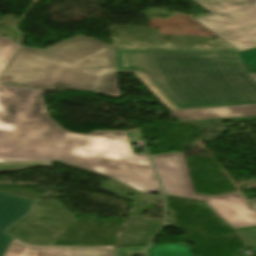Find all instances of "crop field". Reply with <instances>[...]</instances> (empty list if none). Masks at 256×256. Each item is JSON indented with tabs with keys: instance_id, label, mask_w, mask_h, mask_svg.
<instances>
[{
	"instance_id": "1",
	"label": "crop field",
	"mask_w": 256,
	"mask_h": 256,
	"mask_svg": "<svg viewBox=\"0 0 256 256\" xmlns=\"http://www.w3.org/2000/svg\"><path fill=\"white\" fill-rule=\"evenodd\" d=\"M43 91L0 85V171L61 164L162 194L147 154H133L132 131H64L45 111Z\"/></svg>"
},
{
	"instance_id": "2",
	"label": "crop field",
	"mask_w": 256,
	"mask_h": 256,
	"mask_svg": "<svg viewBox=\"0 0 256 256\" xmlns=\"http://www.w3.org/2000/svg\"><path fill=\"white\" fill-rule=\"evenodd\" d=\"M118 73H134L168 109L256 103V48L237 52L115 50Z\"/></svg>"
},
{
	"instance_id": "3",
	"label": "crop field",
	"mask_w": 256,
	"mask_h": 256,
	"mask_svg": "<svg viewBox=\"0 0 256 256\" xmlns=\"http://www.w3.org/2000/svg\"><path fill=\"white\" fill-rule=\"evenodd\" d=\"M111 45L80 35L45 50L18 46L0 84L54 91H96L120 96Z\"/></svg>"
},
{
	"instance_id": "4",
	"label": "crop field",
	"mask_w": 256,
	"mask_h": 256,
	"mask_svg": "<svg viewBox=\"0 0 256 256\" xmlns=\"http://www.w3.org/2000/svg\"><path fill=\"white\" fill-rule=\"evenodd\" d=\"M151 157L166 195L201 200L233 228L256 225V213L240 193L207 197L195 196L181 153Z\"/></svg>"
},
{
	"instance_id": "5",
	"label": "crop field",
	"mask_w": 256,
	"mask_h": 256,
	"mask_svg": "<svg viewBox=\"0 0 256 256\" xmlns=\"http://www.w3.org/2000/svg\"><path fill=\"white\" fill-rule=\"evenodd\" d=\"M193 1L211 12L196 20L238 50L256 47V0Z\"/></svg>"
},
{
	"instance_id": "6",
	"label": "crop field",
	"mask_w": 256,
	"mask_h": 256,
	"mask_svg": "<svg viewBox=\"0 0 256 256\" xmlns=\"http://www.w3.org/2000/svg\"><path fill=\"white\" fill-rule=\"evenodd\" d=\"M180 122H234L256 120V105L171 111Z\"/></svg>"
},
{
	"instance_id": "7",
	"label": "crop field",
	"mask_w": 256,
	"mask_h": 256,
	"mask_svg": "<svg viewBox=\"0 0 256 256\" xmlns=\"http://www.w3.org/2000/svg\"><path fill=\"white\" fill-rule=\"evenodd\" d=\"M111 248L28 246L14 239L4 256H112Z\"/></svg>"
},
{
	"instance_id": "8",
	"label": "crop field",
	"mask_w": 256,
	"mask_h": 256,
	"mask_svg": "<svg viewBox=\"0 0 256 256\" xmlns=\"http://www.w3.org/2000/svg\"><path fill=\"white\" fill-rule=\"evenodd\" d=\"M33 203L34 200L0 192V256L13 239L5 229L29 212Z\"/></svg>"
},
{
	"instance_id": "9",
	"label": "crop field",
	"mask_w": 256,
	"mask_h": 256,
	"mask_svg": "<svg viewBox=\"0 0 256 256\" xmlns=\"http://www.w3.org/2000/svg\"><path fill=\"white\" fill-rule=\"evenodd\" d=\"M151 256H192L186 244L150 246Z\"/></svg>"
},
{
	"instance_id": "10",
	"label": "crop field",
	"mask_w": 256,
	"mask_h": 256,
	"mask_svg": "<svg viewBox=\"0 0 256 256\" xmlns=\"http://www.w3.org/2000/svg\"><path fill=\"white\" fill-rule=\"evenodd\" d=\"M16 46L17 43L0 36V74Z\"/></svg>"
},
{
	"instance_id": "11",
	"label": "crop field",
	"mask_w": 256,
	"mask_h": 256,
	"mask_svg": "<svg viewBox=\"0 0 256 256\" xmlns=\"http://www.w3.org/2000/svg\"><path fill=\"white\" fill-rule=\"evenodd\" d=\"M251 247L256 250V226L237 229Z\"/></svg>"
},
{
	"instance_id": "12",
	"label": "crop field",
	"mask_w": 256,
	"mask_h": 256,
	"mask_svg": "<svg viewBox=\"0 0 256 256\" xmlns=\"http://www.w3.org/2000/svg\"><path fill=\"white\" fill-rule=\"evenodd\" d=\"M256 82V74H248Z\"/></svg>"
},
{
	"instance_id": "13",
	"label": "crop field",
	"mask_w": 256,
	"mask_h": 256,
	"mask_svg": "<svg viewBox=\"0 0 256 256\" xmlns=\"http://www.w3.org/2000/svg\"><path fill=\"white\" fill-rule=\"evenodd\" d=\"M256 208V207H255Z\"/></svg>"
}]
</instances>
